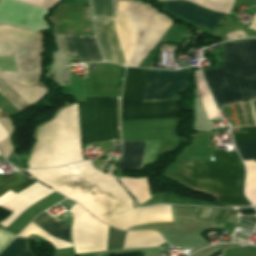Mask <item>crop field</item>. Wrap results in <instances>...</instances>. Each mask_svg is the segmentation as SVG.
<instances>
[{
	"instance_id": "crop-field-1",
	"label": "crop field",
	"mask_w": 256,
	"mask_h": 256,
	"mask_svg": "<svg viewBox=\"0 0 256 256\" xmlns=\"http://www.w3.org/2000/svg\"><path fill=\"white\" fill-rule=\"evenodd\" d=\"M27 172L56 192L76 201L99 220L132 208L131 197L118 182L95 171L89 162ZM102 221L121 230L130 226L173 222L170 206L131 209Z\"/></svg>"
},
{
	"instance_id": "crop-field-2",
	"label": "crop field",
	"mask_w": 256,
	"mask_h": 256,
	"mask_svg": "<svg viewBox=\"0 0 256 256\" xmlns=\"http://www.w3.org/2000/svg\"><path fill=\"white\" fill-rule=\"evenodd\" d=\"M117 97L86 98L78 103L81 143L117 139ZM77 104L62 109L39 128L29 162L30 169L64 165L82 160Z\"/></svg>"
},
{
	"instance_id": "crop-field-3",
	"label": "crop field",
	"mask_w": 256,
	"mask_h": 256,
	"mask_svg": "<svg viewBox=\"0 0 256 256\" xmlns=\"http://www.w3.org/2000/svg\"><path fill=\"white\" fill-rule=\"evenodd\" d=\"M40 34L0 24V56H40ZM17 73L0 72V78L31 87L39 75L40 57H14ZM44 89H31L0 80V95L18 112L40 98Z\"/></svg>"
},
{
	"instance_id": "crop-field-4",
	"label": "crop field",
	"mask_w": 256,
	"mask_h": 256,
	"mask_svg": "<svg viewBox=\"0 0 256 256\" xmlns=\"http://www.w3.org/2000/svg\"><path fill=\"white\" fill-rule=\"evenodd\" d=\"M221 45L223 67L202 69L219 110L231 102L256 99V39Z\"/></svg>"
},
{
	"instance_id": "crop-field-5",
	"label": "crop field",
	"mask_w": 256,
	"mask_h": 256,
	"mask_svg": "<svg viewBox=\"0 0 256 256\" xmlns=\"http://www.w3.org/2000/svg\"><path fill=\"white\" fill-rule=\"evenodd\" d=\"M215 162L192 161L171 178L196 189L216 195L226 206L251 205L243 195L245 174L236 152H214Z\"/></svg>"
},
{
	"instance_id": "crop-field-6",
	"label": "crop field",
	"mask_w": 256,
	"mask_h": 256,
	"mask_svg": "<svg viewBox=\"0 0 256 256\" xmlns=\"http://www.w3.org/2000/svg\"><path fill=\"white\" fill-rule=\"evenodd\" d=\"M147 72L146 69L127 68L121 120L179 117V101L142 103Z\"/></svg>"
},
{
	"instance_id": "crop-field-7",
	"label": "crop field",
	"mask_w": 256,
	"mask_h": 256,
	"mask_svg": "<svg viewBox=\"0 0 256 256\" xmlns=\"http://www.w3.org/2000/svg\"><path fill=\"white\" fill-rule=\"evenodd\" d=\"M53 193L54 192L38 183L32 185L31 187L27 188L26 190L22 191L17 195L14 194L12 191L7 192L0 197V206L14 213L7 217L5 220H3L0 225L6 228L28 208L32 207L33 205L37 204L38 202ZM63 199L64 197L56 193L51 195L42 202L28 209L7 228L20 231L39 213L48 209L49 207L53 206L54 204L58 203Z\"/></svg>"
},
{
	"instance_id": "crop-field-8",
	"label": "crop field",
	"mask_w": 256,
	"mask_h": 256,
	"mask_svg": "<svg viewBox=\"0 0 256 256\" xmlns=\"http://www.w3.org/2000/svg\"><path fill=\"white\" fill-rule=\"evenodd\" d=\"M68 212L73 215L71 232L75 253L106 251L108 226L95 220L77 204Z\"/></svg>"
},
{
	"instance_id": "crop-field-9",
	"label": "crop field",
	"mask_w": 256,
	"mask_h": 256,
	"mask_svg": "<svg viewBox=\"0 0 256 256\" xmlns=\"http://www.w3.org/2000/svg\"><path fill=\"white\" fill-rule=\"evenodd\" d=\"M48 19L53 33L94 35L89 4L61 3Z\"/></svg>"
},
{
	"instance_id": "crop-field-10",
	"label": "crop field",
	"mask_w": 256,
	"mask_h": 256,
	"mask_svg": "<svg viewBox=\"0 0 256 256\" xmlns=\"http://www.w3.org/2000/svg\"><path fill=\"white\" fill-rule=\"evenodd\" d=\"M177 118L121 121L123 141H177Z\"/></svg>"
},
{
	"instance_id": "crop-field-11",
	"label": "crop field",
	"mask_w": 256,
	"mask_h": 256,
	"mask_svg": "<svg viewBox=\"0 0 256 256\" xmlns=\"http://www.w3.org/2000/svg\"><path fill=\"white\" fill-rule=\"evenodd\" d=\"M188 69L181 72L149 70L143 102L167 100L185 86Z\"/></svg>"
},
{
	"instance_id": "crop-field-12",
	"label": "crop field",
	"mask_w": 256,
	"mask_h": 256,
	"mask_svg": "<svg viewBox=\"0 0 256 256\" xmlns=\"http://www.w3.org/2000/svg\"><path fill=\"white\" fill-rule=\"evenodd\" d=\"M121 69L106 63L96 64L86 78V97L117 96Z\"/></svg>"
},
{
	"instance_id": "crop-field-13",
	"label": "crop field",
	"mask_w": 256,
	"mask_h": 256,
	"mask_svg": "<svg viewBox=\"0 0 256 256\" xmlns=\"http://www.w3.org/2000/svg\"><path fill=\"white\" fill-rule=\"evenodd\" d=\"M28 226H30L43 236L47 237L62 248L72 247L70 238V225L65 223L63 220L58 223L44 212L43 214L35 218ZM28 226L18 237H26L29 234H36L43 237ZM45 237L43 238L49 241L55 247V249L60 248Z\"/></svg>"
},
{
	"instance_id": "crop-field-14",
	"label": "crop field",
	"mask_w": 256,
	"mask_h": 256,
	"mask_svg": "<svg viewBox=\"0 0 256 256\" xmlns=\"http://www.w3.org/2000/svg\"><path fill=\"white\" fill-rule=\"evenodd\" d=\"M93 23L105 61L126 66L116 37L113 20L93 18Z\"/></svg>"
},
{
	"instance_id": "crop-field-15",
	"label": "crop field",
	"mask_w": 256,
	"mask_h": 256,
	"mask_svg": "<svg viewBox=\"0 0 256 256\" xmlns=\"http://www.w3.org/2000/svg\"><path fill=\"white\" fill-rule=\"evenodd\" d=\"M165 9L211 31H213L226 17L225 15L202 9L185 1H170L167 3Z\"/></svg>"
},
{
	"instance_id": "crop-field-16",
	"label": "crop field",
	"mask_w": 256,
	"mask_h": 256,
	"mask_svg": "<svg viewBox=\"0 0 256 256\" xmlns=\"http://www.w3.org/2000/svg\"><path fill=\"white\" fill-rule=\"evenodd\" d=\"M63 35V34H62ZM85 60L87 62H101L100 52L94 36L77 35ZM76 35H63L69 59L84 60Z\"/></svg>"
},
{
	"instance_id": "crop-field-17",
	"label": "crop field",
	"mask_w": 256,
	"mask_h": 256,
	"mask_svg": "<svg viewBox=\"0 0 256 256\" xmlns=\"http://www.w3.org/2000/svg\"><path fill=\"white\" fill-rule=\"evenodd\" d=\"M241 134H232L234 141H256V128H241ZM242 160L256 162V142H234Z\"/></svg>"
},
{
	"instance_id": "crop-field-18",
	"label": "crop field",
	"mask_w": 256,
	"mask_h": 256,
	"mask_svg": "<svg viewBox=\"0 0 256 256\" xmlns=\"http://www.w3.org/2000/svg\"><path fill=\"white\" fill-rule=\"evenodd\" d=\"M145 142H123V154L117 169H138L144 155Z\"/></svg>"
},
{
	"instance_id": "crop-field-19",
	"label": "crop field",
	"mask_w": 256,
	"mask_h": 256,
	"mask_svg": "<svg viewBox=\"0 0 256 256\" xmlns=\"http://www.w3.org/2000/svg\"><path fill=\"white\" fill-rule=\"evenodd\" d=\"M33 183L35 182L16 172L9 175L0 174V196L9 189L17 194Z\"/></svg>"
},
{
	"instance_id": "crop-field-20",
	"label": "crop field",
	"mask_w": 256,
	"mask_h": 256,
	"mask_svg": "<svg viewBox=\"0 0 256 256\" xmlns=\"http://www.w3.org/2000/svg\"><path fill=\"white\" fill-rule=\"evenodd\" d=\"M119 180L136 197L139 204L150 199L148 196L146 180L144 178H120Z\"/></svg>"
},
{
	"instance_id": "crop-field-21",
	"label": "crop field",
	"mask_w": 256,
	"mask_h": 256,
	"mask_svg": "<svg viewBox=\"0 0 256 256\" xmlns=\"http://www.w3.org/2000/svg\"><path fill=\"white\" fill-rule=\"evenodd\" d=\"M196 73H197L198 85H199V89H200L199 94H200V98H201L202 104L204 106V109L209 118L218 117L219 115H218L216 107L209 95V92L204 84L203 77H202L200 71H196Z\"/></svg>"
},
{
	"instance_id": "crop-field-22",
	"label": "crop field",
	"mask_w": 256,
	"mask_h": 256,
	"mask_svg": "<svg viewBox=\"0 0 256 256\" xmlns=\"http://www.w3.org/2000/svg\"><path fill=\"white\" fill-rule=\"evenodd\" d=\"M0 256H33V254L28 250L26 239L16 238L0 253Z\"/></svg>"
},
{
	"instance_id": "crop-field-23",
	"label": "crop field",
	"mask_w": 256,
	"mask_h": 256,
	"mask_svg": "<svg viewBox=\"0 0 256 256\" xmlns=\"http://www.w3.org/2000/svg\"><path fill=\"white\" fill-rule=\"evenodd\" d=\"M162 203L166 204H190V205H210V206H223L218 203L207 202V201H198V200H189L181 198L172 193H163Z\"/></svg>"
},
{
	"instance_id": "crop-field-24",
	"label": "crop field",
	"mask_w": 256,
	"mask_h": 256,
	"mask_svg": "<svg viewBox=\"0 0 256 256\" xmlns=\"http://www.w3.org/2000/svg\"><path fill=\"white\" fill-rule=\"evenodd\" d=\"M93 16L113 18L111 0H91Z\"/></svg>"
},
{
	"instance_id": "crop-field-25",
	"label": "crop field",
	"mask_w": 256,
	"mask_h": 256,
	"mask_svg": "<svg viewBox=\"0 0 256 256\" xmlns=\"http://www.w3.org/2000/svg\"><path fill=\"white\" fill-rule=\"evenodd\" d=\"M125 234L126 232L114 230L109 227L107 251L122 248Z\"/></svg>"
},
{
	"instance_id": "crop-field-26",
	"label": "crop field",
	"mask_w": 256,
	"mask_h": 256,
	"mask_svg": "<svg viewBox=\"0 0 256 256\" xmlns=\"http://www.w3.org/2000/svg\"><path fill=\"white\" fill-rule=\"evenodd\" d=\"M15 235L0 230V250L7 245Z\"/></svg>"
},
{
	"instance_id": "crop-field-27",
	"label": "crop field",
	"mask_w": 256,
	"mask_h": 256,
	"mask_svg": "<svg viewBox=\"0 0 256 256\" xmlns=\"http://www.w3.org/2000/svg\"><path fill=\"white\" fill-rule=\"evenodd\" d=\"M19 1H23V2H26V3H30V4H33V5H37V6H43L45 0H19Z\"/></svg>"
},
{
	"instance_id": "crop-field-28",
	"label": "crop field",
	"mask_w": 256,
	"mask_h": 256,
	"mask_svg": "<svg viewBox=\"0 0 256 256\" xmlns=\"http://www.w3.org/2000/svg\"><path fill=\"white\" fill-rule=\"evenodd\" d=\"M6 137H8V134L5 131V129L2 127V125L0 124V141L5 139Z\"/></svg>"
},
{
	"instance_id": "crop-field-29",
	"label": "crop field",
	"mask_w": 256,
	"mask_h": 256,
	"mask_svg": "<svg viewBox=\"0 0 256 256\" xmlns=\"http://www.w3.org/2000/svg\"><path fill=\"white\" fill-rule=\"evenodd\" d=\"M59 0H47L45 5H44V8H48L50 9V7L53 5L54 2H57Z\"/></svg>"
},
{
	"instance_id": "crop-field-30",
	"label": "crop field",
	"mask_w": 256,
	"mask_h": 256,
	"mask_svg": "<svg viewBox=\"0 0 256 256\" xmlns=\"http://www.w3.org/2000/svg\"><path fill=\"white\" fill-rule=\"evenodd\" d=\"M76 2H89V0H76Z\"/></svg>"
},
{
	"instance_id": "crop-field-31",
	"label": "crop field",
	"mask_w": 256,
	"mask_h": 256,
	"mask_svg": "<svg viewBox=\"0 0 256 256\" xmlns=\"http://www.w3.org/2000/svg\"><path fill=\"white\" fill-rule=\"evenodd\" d=\"M253 2L256 4V0H253Z\"/></svg>"
}]
</instances>
